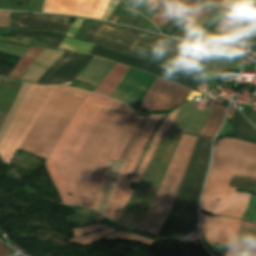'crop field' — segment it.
I'll use <instances>...</instances> for the list:
<instances>
[{
    "label": "crop field",
    "mask_w": 256,
    "mask_h": 256,
    "mask_svg": "<svg viewBox=\"0 0 256 256\" xmlns=\"http://www.w3.org/2000/svg\"><path fill=\"white\" fill-rule=\"evenodd\" d=\"M59 88L30 85L0 141V156L6 163L10 162ZM89 94L61 86L20 148L47 158L66 124ZM113 102V99L91 93L69 121L46 160V169L63 203L97 209L109 159H117L141 119L125 104ZM74 167L81 204L75 189Z\"/></svg>",
    "instance_id": "crop-field-1"
},
{
    "label": "crop field",
    "mask_w": 256,
    "mask_h": 256,
    "mask_svg": "<svg viewBox=\"0 0 256 256\" xmlns=\"http://www.w3.org/2000/svg\"><path fill=\"white\" fill-rule=\"evenodd\" d=\"M232 174L256 177V145L231 138L216 142L213 164L202 196L201 209L241 218L249 194L227 187ZM216 199H220L216 202Z\"/></svg>",
    "instance_id": "crop-field-2"
},
{
    "label": "crop field",
    "mask_w": 256,
    "mask_h": 256,
    "mask_svg": "<svg viewBox=\"0 0 256 256\" xmlns=\"http://www.w3.org/2000/svg\"><path fill=\"white\" fill-rule=\"evenodd\" d=\"M160 118L161 116H151L147 121L125 161V164L118 176L116 186L113 187L105 216L116 222L132 193V190L128 189L131 178L126 179V174H132L141 151Z\"/></svg>",
    "instance_id": "crop-field-3"
},
{
    "label": "crop field",
    "mask_w": 256,
    "mask_h": 256,
    "mask_svg": "<svg viewBox=\"0 0 256 256\" xmlns=\"http://www.w3.org/2000/svg\"><path fill=\"white\" fill-rule=\"evenodd\" d=\"M90 54L105 57L113 61L119 62L121 64L143 69L145 71L159 75L163 78L184 84L190 88H193L198 77V76L182 75L180 73L172 72L161 66L153 65L141 59H137L128 55H122L97 45H95V47L90 52Z\"/></svg>",
    "instance_id": "crop-field-4"
},
{
    "label": "crop field",
    "mask_w": 256,
    "mask_h": 256,
    "mask_svg": "<svg viewBox=\"0 0 256 256\" xmlns=\"http://www.w3.org/2000/svg\"><path fill=\"white\" fill-rule=\"evenodd\" d=\"M110 0H45V13L86 16L101 19Z\"/></svg>",
    "instance_id": "crop-field-5"
},
{
    "label": "crop field",
    "mask_w": 256,
    "mask_h": 256,
    "mask_svg": "<svg viewBox=\"0 0 256 256\" xmlns=\"http://www.w3.org/2000/svg\"><path fill=\"white\" fill-rule=\"evenodd\" d=\"M241 220L201 215V233L209 245L237 244Z\"/></svg>",
    "instance_id": "crop-field-6"
},
{
    "label": "crop field",
    "mask_w": 256,
    "mask_h": 256,
    "mask_svg": "<svg viewBox=\"0 0 256 256\" xmlns=\"http://www.w3.org/2000/svg\"><path fill=\"white\" fill-rule=\"evenodd\" d=\"M191 90L164 79L147 111L166 110L184 103Z\"/></svg>",
    "instance_id": "crop-field-7"
},
{
    "label": "crop field",
    "mask_w": 256,
    "mask_h": 256,
    "mask_svg": "<svg viewBox=\"0 0 256 256\" xmlns=\"http://www.w3.org/2000/svg\"><path fill=\"white\" fill-rule=\"evenodd\" d=\"M198 4L195 0H168L150 21L165 26L174 14L185 18Z\"/></svg>",
    "instance_id": "crop-field-8"
},
{
    "label": "crop field",
    "mask_w": 256,
    "mask_h": 256,
    "mask_svg": "<svg viewBox=\"0 0 256 256\" xmlns=\"http://www.w3.org/2000/svg\"><path fill=\"white\" fill-rule=\"evenodd\" d=\"M113 65L114 62L94 57L75 79L97 86Z\"/></svg>",
    "instance_id": "crop-field-9"
},
{
    "label": "crop field",
    "mask_w": 256,
    "mask_h": 256,
    "mask_svg": "<svg viewBox=\"0 0 256 256\" xmlns=\"http://www.w3.org/2000/svg\"><path fill=\"white\" fill-rule=\"evenodd\" d=\"M22 83L0 78V127Z\"/></svg>",
    "instance_id": "crop-field-10"
},
{
    "label": "crop field",
    "mask_w": 256,
    "mask_h": 256,
    "mask_svg": "<svg viewBox=\"0 0 256 256\" xmlns=\"http://www.w3.org/2000/svg\"><path fill=\"white\" fill-rule=\"evenodd\" d=\"M129 67L116 63L93 92L109 97Z\"/></svg>",
    "instance_id": "crop-field-11"
},
{
    "label": "crop field",
    "mask_w": 256,
    "mask_h": 256,
    "mask_svg": "<svg viewBox=\"0 0 256 256\" xmlns=\"http://www.w3.org/2000/svg\"><path fill=\"white\" fill-rule=\"evenodd\" d=\"M219 7L216 6L208 14H206L201 20H199L194 26L201 30V34L193 38V40L206 42L213 29L220 23V21L230 12L227 10L220 17H218L213 11L217 10Z\"/></svg>",
    "instance_id": "crop-field-12"
},
{
    "label": "crop field",
    "mask_w": 256,
    "mask_h": 256,
    "mask_svg": "<svg viewBox=\"0 0 256 256\" xmlns=\"http://www.w3.org/2000/svg\"><path fill=\"white\" fill-rule=\"evenodd\" d=\"M123 163L122 162H117V161H112L110 160L109 162V167L105 179V184L101 196V200L98 206V211L102 212L105 214L106 206L110 197V193L112 190L113 185L116 184L117 176L118 173L122 167ZM113 178H115V182H113Z\"/></svg>",
    "instance_id": "crop-field-13"
},
{
    "label": "crop field",
    "mask_w": 256,
    "mask_h": 256,
    "mask_svg": "<svg viewBox=\"0 0 256 256\" xmlns=\"http://www.w3.org/2000/svg\"><path fill=\"white\" fill-rule=\"evenodd\" d=\"M180 108H178L177 110H175L171 115H169L166 120L162 123V126L160 128V130L158 131L157 135L155 136L154 140L152 141L149 149L146 152V155L133 179V182H138L145 167L147 166L148 162L150 161L153 152L155 150V148L157 147V145L159 144L160 140L162 139L163 135L165 134V132L167 131L168 127L170 126L171 122L173 121L174 117L176 116L177 112L179 111Z\"/></svg>",
    "instance_id": "crop-field-14"
},
{
    "label": "crop field",
    "mask_w": 256,
    "mask_h": 256,
    "mask_svg": "<svg viewBox=\"0 0 256 256\" xmlns=\"http://www.w3.org/2000/svg\"><path fill=\"white\" fill-rule=\"evenodd\" d=\"M231 135L256 142L255 128L246 120V118L239 111H237Z\"/></svg>",
    "instance_id": "crop-field-15"
},
{
    "label": "crop field",
    "mask_w": 256,
    "mask_h": 256,
    "mask_svg": "<svg viewBox=\"0 0 256 256\" xmlns=\"http://www.w3.org/2000/svg\"><path fill=\"white\" fill-rule=\"evenodd\" d=\"M225 109V107L214 105L210 117L200 133L201 136L213 138L223 119Z\"/></svg>",
    "instance_id": "crop-field-16"
},
{
    "label": "crop field",
    "mask_w": 256,
    "mask_h": 256,
    "mask_svg": "<svg viewBox=\"0 0 256 256\" xmlns=\"http://www.w3.org/2000/svg\"><path fill=\"white\" fill-rule=\"evenodd\" d=\"M44 48L30 47L29 50L17 63L16 67L9 75V77L19 79L25 69L31 64V62L39 55ZM8 77V76H7Z\"/></svg>",
    "instance_id": "crop-field-17"
},
{
    "label": "crop field",
    "mask_w": 256,
    "mask_h": 256,
    "mask_svg": "<svg viewBox=\"0 0 256 256\" xmlns=\"http://www.w3.org/2000/svg\"><path fill=\"white\" fill-rule=\"evenodd\" d=\"M238 245L256 246V224L242 220Z\"/></svg>",
    "instance_id": "crop-field-18"
},
{
    "label": "crop field",
    "mask_w": 256,
    "mask_h": 256,
    "mask_svg": "<svg viewBox=\"0 0 256 256\" xmlns=\"http://www.w3.org/2000/svg\"><path fill=\"white\" fill-rule=\"evenodd\" d=\"M65 51L57 49V51L51 48H45L43 52L34 61L46 68H50L52 64L64 53Z\"/></svg>",
    "instance_id": "crop-field-19"
},
{
    "label": "crop field",
    "mask_w": 256,
    "mask_h": 256,
    "mask_svg": "<svg viewBox=\"0 0 256 256\" xmlns=\"http://www.w3.org/2000/svg\"><path fill=\"white\" fill-rule=\"evenodd\" d=\"M60 47L80 53L89 54L91 49L94 47V44L80 42L65 37Z\"/></svg>",
    "instance_id": "crop-field-20"
},
{
    "label": "crop field",
    "mask_w": 256,
    "mask_h": 256,
    "mask_svg": "<svg viewBox=\"0 0 256 256\" xmlns=\"http://www.w3.org/2000/svg\"><path fill=\"white\" fill-rule=\"evenodd\" d=\"M149 117H142V119L140 120V122L138 123L137 127L135 128V130L133 131V133L131 134V136L128 138L118 160L124 161L133 142L135 141V139L137 138L138 134L140 133L142 127L144 126V124L146 123V121L148 120Z\"/></svg>",
    "instance_id": "crop-field-21"
},
{
    "label": "crop field",
    "mask_w": 256,
    "mask_h": 256,
    "mask_svg": "<svg viewBox=\"0 0 256 256\" xmlns=\"http://www.w3.org/2000/svg\"><path fill=\"white\" fill-rule=\"evenodd\" d=\"M225 256H256V247L229 245Z\"/></svg>",
    "instance_id": "crop-field-22"
},
{
    "label": "crop field",
    "mask_w": 256,
    "mask_h": 256,
    "mask_svg": "<svg viewBox=\"0 0 256 256\" xmlns=\"http://www.w3.org/2000/svg\"><path fill=\"white\" fill-rule=\"evenodd\" d=\"M47 69L41 67L36 63H32L25 74L20 78L22 80L30 81L36 83L38 78L46 71Z\"/></svg>",
    "instance_id": "crop-field-23"
},
{
    "label": "crop field",
    "mask_w": 256,
    "mask_h": 256,
    "mask_svg": "<svg viewBox=\"0 0 256 256\" xmlns=\"http://www.w3.org/2000/svg\"><path fill=\"white\" fill-rule=\"evenodd\" d=\"M116 230H113V229H110V228H107V229H104V230H101L99 232H96V233H92V234H89V235H86V236H81V237H77V238H73V239H70V240H73L75 242H78L82 245H85V244H88V243H91L99 238H102L112 232H114Z\"/></svg>",
    "instance_id": "crop-field-24"
},
{
    "label": "crop field",
    "mask_w": 256,
    "mask_h": 256,
    "mask_svg": "<svg viewBox=\"0 0 256 256\" xmlns=\"http://www.w3.org/2000/svg\"><path fill=\"white\" fill-rule=\"evenodd\" d=\"M115 238L142 242V243H145V244H148V245H150L153 242V240H151V239L144 238V237L134 235V234H130V233H126V232H122V231L116 232V233L106 237L105 239L114 240Z\"/></svg>",
    "instance_id": "crop-field-25"
},
{
    "label": "crop field",
    "mask_w": 256,
    "mask_h": 256,
    "mask_svg": "<svg viewBox=\"0 0 256 256\" xmlns=\"http://www.w3.org/2000/svg\"><path fill=\"white\" fill-rule=\"evenodd\" d=\"M221 6L248 14L249 0H224Z\"/></svg>",
    "instance_id": "crop-field-26"
},
{
    "label": "crop field",
    "mask_w": 256,
    "mask_h": 256,
    "mask_svg": "<svg viewBox=\"0 0 256 256\" xmlns=\"http://www.w3.org/2000/svg\"><path fill=\"white\" fill-rule=\"evenodd\" d=\"M211 9L205 7L204 5H199L193 12H191L183 22L193 25L199 19H201L206 13H208Z\"/></svg>",
    "instance_id": "crop-field-27"
},
{
    "label": "crop field",
    "mask_w": 256,
    "mask_h": 256,
    "mask_svg": "<svg viewBox=\"0 0 256 256\" xmlns=\"http://www.w3.org/2000/svg\"><path fill=\"white\" fill-rule=\"evenodd\" d=\"M253 190L256 191V184ZM242 218L245 220L256 222V196H250L247 208Z\"/></svg>",
    "instance_id": "crop-field-28"
},
{
    "label": "crop field",
    "mask_w": 256,
    "mask_h": 256,
    "mask_svg": "<svg viewBox=\"0 0 256 256\" xmlns=\"http://www.w3.org/2000/svg\"><path fill=\"white\" fill-rule=\"evenodd\" d=\"M162 81H163L162 78L156 77L154 83L152 84L151 88L149 89L148 93L146 94L145 98L143 99V101L138 109V112H140V110L142 108H145V109L148 108L153 96L155 95V93H156L157 89L159 88Z\"/></svg>",
    "instance_id": "crop-field-29"
},
{
    "label": "crop field",
    "mask_w": 256,
    "mask_h": 256,
    "mask_svg": "<svg viewBox=\"0 0 256 256\" xmlns=\"http://www.w3.org/2000/svg\"><path fill=\"white\" fill-rule=\"evenodd\" d=\"M103 228H106V227L101 225V224H99V223H96V224H92V225H89V226H85V227H81V228H78V229H74L73 231H74L75 236H76V235L88 233V232H91V231H94V230L103 229Z\"/></svg>",
    "instance_id": "crop-field-30"
},
{
    "label": "crop field",
    "mask_w": 256,
    "mask_h": 256,
    "mask_svg": "<svg viewBox=\"0 0 256 256\" xmlns=\"http://www.w3.org/2000/svg\"><path fill=\"white\" fill-rule=\"evenodd\" d=\"M0 32L7 33V32H10V30L4 29V30H0ZM15 37H18V36H15ZM18 38H22L25 40H19V39L0 36V40H3V41H12V42H17V43L26 44V45H31L33 42V39H30V38H25V37H18Z\"/></svg>",
    "instance_id": "crop-field-31"
},
{
    "label": "crop field",
    "mask_w": 256,
    "mask_h": 256,
    "mask_svg": "<svg viewBox=\"0 0 256 256\" xmlns=\"http://www.w3.org/2000/svg\"><path fill=\"white\" fill-rule=\"evenodd\" d=\"M233 25V22L223 19L221 23L215 28V30L230 33Z\"/></svg>",
    "instance_id": "crop-field-32"
},
{
    "label": "crop field",
    "mask_w": 256,
    "mask_h": 256,
    "mask_svg": "<svg viewBox=\"0 0 256 256\" xmlns=\"http://www.w3.org/2000/svg\"><path fill=\"white\" fill-rule=\"evenodd\" d=\"M226 18H228L232 21L238 22V23L245 24V25H246V21H247L246 16L240 15V14L232 12V11L226 16Z\"/></svg>",
    "instance_id": "crop-field-33"
},
{
    "label": "crop field",
    "mask_w": 256,
    "mask_h": 256,
    "mask_svg": "<svg viewBox=\"0 0 256 256\" xmlns=\"http://www.w3.org/2000/svg\"><path fill=\"white\" fill-rule=\"evenodd\" d=\"M120 0H111L107 10L105 11L102 20H108L111 12L113 11V9L116 7V5L119 3Z\"/></svg>",
    "instance_id": "crop-field-34"
},
{
    "label": "crop field",
    "mask_w": 256,
    "mask_h": 256,
    "mask_svg": "<svg viewBox=\"0 0 256 256\" xmlns=\"http://www.w3.org/2000/svg\"><path fill=\"white\" fill-rule=\"evenodd\" d=\"M82 20L81 19H75L72 27L70 28V30L67 32V36L73 37V35L76 33V31L78 30L80 24H81Z\"/></svg>",
    "instance_id": "crop-field-35"
},
{
    "label": "crop field",
    "mask_w": 256,
    "mask_h": 256,
    "mask_svg": "<svg viewBox=\"0 0 256 256\" xmlns=\"http://www.w3.org/2000/svg\"><path fill=\"white\" fill-rule=\"evenodd\" d=\"M7 255H10L9 250L6 249L5 246L0 243V256H7Z\"/></svg>",
    "instance_id": "crop-field-36"
},
{
    "label": "crop field",
    "mask_w": 256,
    "mask_h": 256,
    "mask_svg": "<svg viewBox=\"0 0 256 256\" xmlns=\"http://www.w3.org/2000/svg\"><path fill=\"white\" fill-rule=\"evenodd\" d=\"M167 0H158L153 6L152 9H159Z\"/></svg>",
    "instance_id": "crop-field-37"
},
{
    "label": "crop field",
    "mask_w": 256,
    "mask_h": 256,
    "mask_svg": "<svg viewBox=\"0 0 256 256\" xmlns=\"http://www.w3.org/2000/svg\"><path fill=\"white\" fill-rule=\"evenodd\" d=\"M256 24V8L253 7L251 25Z\"/></svg>",
    "instance_id": "crop-field-38"
},
{
    "label": "crop field",
    "mask_w": 256,
    "mask_h": 256,
    "mask_svg": "<svg viewBox=\"0 0 256 256\" xmlns=\"http://www.w3.org/2000/svg\"><path fill=\"white\" fill-rule=\"evenodd\" d=\"M102 217H103V215H101L100 213L97 212L94 220L100 223Z\"/></svg>",
    "instance_id": "crop-field-39"
},
{
    "label": "crop field",
    "mask_w": 256,
    "mask_h": 256,
    "mask_svg": "<svg viewBox=\"0 0 256 256\" xmlns=\"http://www.w3.org/2000/svg\"><path fill=\"white\" fill-rule=\"evenodd\" d=\"M208 1H210V2H212L214 4H216V5H220L222 0H208Z\"/></svg>",
    "instance_id": "crop-field-40"
},
{
    "label": "crop field",
    "mask_w": 256,
    "mask_h": 256,
    "mask_svg": "<svg viewBox=\"0 0 256 256\" xmlns=\"http://www.w3.org/2000/svg\"><path fill=\"white\" fill-rule=\"evenodd\" d=\"M156 2V0H147L146 3H149L151 5H153Z\"/></svg>",
    "instance_id": "crop-field-41"
}]
</instances>
